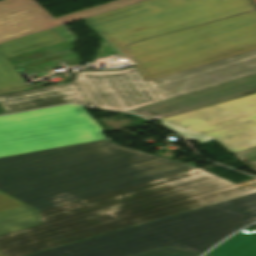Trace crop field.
I'll list each match as a JSON object with an SVG mask.
<instances>
[{
    "mask_svg": "<svg viewBox=\"0 0 256 256\" xmlns=\"http://www.w3.org/2000/svg\"><path fill=\"white\" fill-rule=\"evenodd\" d=\"M234 156L245 163L247 166L256 164V148L234 153Z\"/></svg>",
    "mask_w": 256,
    "mask_h": 256,
    "instance_id": "5142ce71",
    "label": "crop field"
},
{
    "mask_svg": "<svg viewBox=\"0 0 256 256\" xmlns=\"http://www.w3.org/2000/svg\"><path fill=\"white\" fill-rule=\"evenodd\" d=\"M0 256H3V255L0 253Z\"/></svg>",
    "mask_w": 256,
    "mask_h": 256,
    "instance_id": "214f88e0",
    "label": "crop field"
},
{
    "mask_svg": "<svg viewBox=\"0 0 256 256\" xmlns=\"http://www.w3.org/2000/svg\"><path fill=\"white\" fill-rule=\"evenodd\" d=\"M249 168H251L252 170H254L256 172V165L250 166Z\"/></svg>",
    "mask_w": 256,
    "mask_h": 256,
    "instance_id": "4a817a6b",
    "label": "crop field"
},
{
    "mask_svg": "<svg viewBox=\"0 0 256 256\" xmlns=\"http://www.w3.org/2000/svg\"><path fill=\"white\" fill-rule=\"evenodd\" d=\"M55 32H58L60 35H58L60 38H63L64 40H69V39H73V37L71 36V34L66 30V28L64 26L62 27H58V28H54L53 29Z\"/></svg>",
    "mask_w": 256,
    "mask_h": 256,
    "instance_id": "d9b57169",
    "label": "crop field"
},
{
    "mask_svg": "<svg viewBox=\"0 0 256 256\" xmlns=\"http://www.w3.org/2000/svg\"><path fill=\"white\" fill-rule=\"evenodd\" d=\"M256 221V193L30 256H129L169 245L202 254Z\"/></svg>",
    "mask_w": 256,
    "mask_h": 256,
    "instance_id": "34b2d1b8",
    "label": "crop field"
},
{
    "mask_svg": "<svg viewBox=\"0 0 256 256\" xmlns=\"http://www.w3.org/2000/svg\"><path fill=\"white\" fill-rule=\"evenodd\" d=\"M58 42H62V40L52 29H49L0 44V94L49 85L48 82L31 86L24 84L21 77L5 58Z\"/></svg>",
    "mask_w": 256,
    "mask_h": 256,
    "instance_id": "5a996713",
    "label": "crop field"
},
{
    "mask_svg": "<svg viewBox=\"0 0 256 256\" xmlns=\"http://www.w3.org/2000/svg\"><path fill=\"white\" fill-rule=\"evenodd\" d=\"M112 52H116V50H114L110 45H108L106 43L104 49L102 50L100 55H104V54H108V53H112Z\"/></svg>",
    "mask_w": 256,
    "mask_h": 256,
    "instance_id": "733c2abd",
    "label": "crop field"
},
{
    "mask_svg": "<svg viewBox=\"0 0 256 256\" xmlns=\"http://www.w3.org/2000/svg\"><path fill=\"white\" fill-rule=\"evenodd\" d=\"M102 132L73 104L0 116V157L103 140Z\"/></svg>",
    "mask_w": 256,
    "mask_h": 256,
    "instance_id": "412701ff",
    "label": "crop field"
},
{
    "mask_svg": "<svg viewBox=\"0 0 256 256\" xmlns=\"http://www.w3.org/2000/svg\"><path fill=\"white\" fill-rule=\"evenodd\" d=\"M41 223L36 209L0 191V234Z\"/></svg>",
    "mask_w": 256,
    "mask_h": 256,
    "instance_id": "28ad6ade",
    "label": "crop field"
},
{
    "mask_svg": "<svg viewBox=\"0 0 256 256\" xmlns=\"http://www.w3.org/2000/svg\"><path fill=\"white\" fill-rule=\"evenodd\" d=\"M65 102L90 106L74 82L0 95V104L7 113Z\"/></svg>",
    "mask_w": 256,
    "mask_h": 256,
    "instance_id": "3316defc",
    "label": "crop field"
},
{
    "mask_svg": "<svg viewBox=\"0 0 256 256\" xmlns=\"http://www.w3.org/2000/svg\"><path fill=\"white\" fill-rule=\"evenodd\" d=\"M82 21L160 102L256 74L252 0H147Z\"/></svg>",
    "mask_w": 256,
    "mask_h": 256,
    "instance_id": "ac0d7876",
    "label": "crop field"
},
{
    "mask_svg": "<svg viewBox=\"0 0 256 256\" xmlns=\"http://www.w3.org/2000/svg\"><path fill=\"white\" fill-rule=\"evenodd\" d=\"M4 112L2 111V109L0 108V114H3Z\"/></svg>",
    "mask_w": 256,
    "mask_h": 256,
    "instance_id": "bc2a9ffb",
    "label": "crop field"
},
{
    "mask_svg": "<svg viewBox=\"0 0 256 256\" xmlns=\"http://www.w3.org/2000/svg\"><path fill=\"white\" fill-rule=\"evenodd\" d=\"M0 190L39 210L43 224L0 235L26 256L256 192L192 165L108 140L0 158Z\"/></svg>",
    "mask_w": 256,
    "mask_h": 256,
    "instance_id": "8a807250",
    "label": "crop field"
},
{
    "mask_svg": "<svg viewBox=\"0 0 256 256\" xmlns=\"http://www.w3.org/2000/svg\"><path fill=\"white\" fill-rule=\"evenodd\" d=\"M187 140L216 138L231 153L256 147V94L160 119Z\"/></svg>",
    "mask_w": 256,
    "mask_h": 256,
    "instance_id": "f4fd0767",
    "label": "crop field"
},
{
    "mask_svg": "<svg viewBox=\"0 0 256 256\" xmlns=\"http://www.w3.org/2000/svg\"><path fill=\"white\" fill-rule=\"evenodd\" d=\"M73 76L96 108L131 111L159 102L135 66L117 71L79 72Z\"/></svg>",
    "mask_w": 256,
    "mask_h": 256,
    "instance_id": "dd49c442",
    "label": "crop field"
},
{
    "mask_svg": "<svg viewBox=\"0 0 256 256\" xmlns=\"http://www.w3.org/2000/svg\"><path fill=\"white\" fill-rule=\"evenodd\" d=\"M254 93H256V75L179 96L132 112L157 120Z\"/></svg>",
    "mask_w": 256,
    "mask_h": 256,
    "instance_id": "d8731c3e",
    "label": "crop field"
},
{
    "mask_svg": "<svg viewBox=\"0 0 256 256\" xmlns=\"http://www.w3.org/2000/svg\"><path fill=\"white\" fill-rule=\"evenodd\" d=\"M73 40L65 41V42L58 43V44L48 46V47H45V48H41V49H38V50H35V51H31V52L24 53V54H21V55H17V56L11 57V58H7V60L11 64H13V63H17V62H20V61H24V60H27V59L34 58V57H38V56H41V55H45V54H49V53L56 52V51H59V50H63V49H66V48H70L72 46Z\"/></svg>",
    "mask_w": 256,
    "mask_h": 256,
    "instance_id": "22f410ed",
    "label": "crop field"
},
{
    "mask_svg": "<svg viewBox=\"0 0 256 256\" xmlns=\"http://www.w3.org/2000/svg\"><path fill=\"white\" fill-rule=\"evenodd\" d=\"M144 0H116L54 18L35 0H0V43Z\"/></svg>",
    "mask_w": 256,
    "mask_h": 256,
    "instance_id": "e52e79f7",
    "label": "crop field"
},
{
    "mask_svg": "<svg viewBox=\"0 0 256 256\" xmlns=\"http://www.w3.org/2000/svg\"><path fill=\"white\" fill-rule=\"evenodd\" d=\"M200 254L165 246L132 256H199Z\"/></svg>",
    "mask_w": 256,
    "mask_h": 256,
    "instance_id": "cbeb9de0",
    "label": "crop field"
},
{
    "mask_svg": "<svg viewBox=\"0 0 256 256\" xmlns=\"http://www.w3.org/2000/svg\"><path fill=\"white\" fill-rule=\"evenodd\" d=\"M208 256H256V231H241L236 236L223 242Z\"/></svg>",
    "mask_w": 256,
    "mask_h": 256,
    "instance_id": "d1516ede",
    "label": "crop field"
}]
</instances>
